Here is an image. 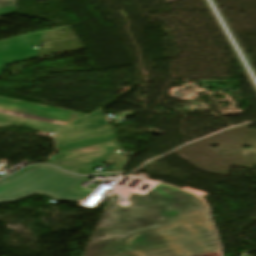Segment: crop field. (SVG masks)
Listing matches in <instances>:
<instances>
[{"instance_id": "dd49c442", "label": "crop field", "mask_w": 256, "mask_h": 256, "mask_svg": "<svg viewBox=\"0 0 256 256\" xmlns=\"http://www.w3.org/2000/svg\"><path fill=\"white\" fill-rule=\"evenodd\" d=\"M128 157L115 154L113 140L63 152L49 161L61 168L80 174H92L98 161L116 163L112 172H122Z\"/></svg>"}, {"instance_id": "34b2d1b8", "label": "crop field", "mask_w": 256, "mask_h": 256, "mask_svg": "<svg viewBox=\"0 0 256 256\" xmlns=\"http://www.w3.org/2000/svg\"><path fill=\"white\" fill-rule=\"evenodd\" d=\"M85 178L52 166H38L0 183V203L13 202L37 193L56 200H81L87 192L74 189Z\"/></svg>"}, {"instance_id": "f4fd0767", "label": "crop field", "mask_w": 256, "mask_h": 256, "mask_svg": "<svg viewBox=\"0 0 256 256\" xmlns=\"http://www.w3.org/2000/svg\"><path fill=\"white\" fill-rule=\"evenodd\" d=\"M101 109L58 129L54 138L60 152L114 139L113 126Z\"/></svg>"}, {"instance_id": "d8731c3e", "label": "crop field", "mask_w": 256, "mask_h": 256, "mask_svg": "<svg viewBox=\"0 0 256 256\" xmlns=\"http://www.w3.org/2000/svg\"><path fill=\"white\" fill-rule=\"evenodd\" d=\"M15 13V0H0V16Z\"/></svg>"}, {"instance_id": "5a996713", "label": "crop field", "mask_w": 256, "mask_h": 256, "mask_svg": "<svg viewBox=\"0 0 256 256\" xmlns=\"http://www.w3.org/2000/svg\"><path fill=\"white\" fill-rule=\"evenodd\" d=\"M28 168H30V167H28ZM28 168H26V169H28ZM26 169H24V170H26ZM24 170H22V171H24ZM22 171H20V172H22ZM20 172H18V173H20ZM18 173H16V174H18ZM16 174H14V175H16ZM14 175H12V176H14ZM12 176H10V177H12ZM10 177H8V178H10ZM8 178H6V179H8ZM6 179H4V180H6ZM4 180H2V181H4ZM2 181H0V182H2Z\"/></svg>"}, {"instance_id": "e52e79f7", "label": "crop field", "mask_w": 256, "mask_h": 256, "mask_svg": "<svg viewBox=\"0 0 256 256\" xmlns=\"http://www.w3.org/2000/svg\"><path fill=\"white\" fill-rule=\"evenodd\" d=\"M41 34L0 41V74L6 64L36 58L39 49L32 46L39 45Z\"/></svg>"}, {"instance_id": "ac0d7876", "label": "crop field", "mask_w": 256, "mask_h": 256, "mask_svg": "<svg viewBox=\"0 0 256 256\" xmlns=\"http://www.w3.org/2000/svg\"><path fill=\"white\" fill-rule=\"evenodd\" d=\"M117 202L111 198L90 242L209 213L198 197L163 184L145 196H130L129 207Z\"/></svg>"}, {"instance_id": "412701ff", "label": "crop field", "mask_w": 256, "mask_h": 256, "mask_svg": "<svg viewBox=\"0 0 256 256\" xmlns=\"http://www.w3.org/2000/svg\"><path fill=\"white\" fill-rule=\"evenodd\" d=\"M84 115L0 97V128L20 125L48 133Z\"/></svg>"}, {"instance_id": "8a807250", "label": "crop field", "mask_w": 256, "mask_h": 256, "mask_svg": "<svg viewBox=\"0 0 256 256\" xmlns=\"http://www.w3.org/2000/svg\"><path fill=\"white\" fill-rule=\"evenodd\" d=\"M83 256H220V247L207 214L88 243Z\"/></svg>"}]
</instances>
